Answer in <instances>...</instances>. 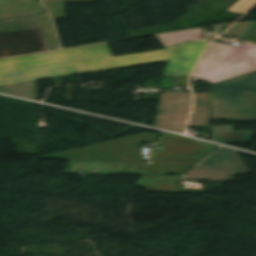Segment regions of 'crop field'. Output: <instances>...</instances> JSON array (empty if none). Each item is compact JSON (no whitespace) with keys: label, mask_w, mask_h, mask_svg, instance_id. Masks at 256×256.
<instances>
[{"label":"crop field","mask_w":256,"mask_h":256,"mask_svg":"<svg viewBox=\"0 0 256 256\" xmlns=\"http://www.w3.org/2000/svg\"><path fill=\"white\" fill-rule=\"evenodd\" d=\"M45 50L41 29L0 33V58Z\"/></svg>","instance_id":"d8731c3e"},{"label":"crop field","mask_w":256,"mask_h":256,"mask_svg":"<svg viewBox=\"0 0 256 256\" xmlns=\"http://www.w3.org/2000/svg\"><path fill=\"white\" fill-rule=\"evenodd\" d=\"M249 173L239 158L237 151L222 148L186 177L208 180H232L237 174Z\"/></svg>","instance_id":"e52e79f7"},{"label":"crop field","mask_w":256,"mask_h":256,"mask_svg":"<svg viewBox=\"0 0 256 256\" xmlns=\"http://www.w3.org/2000/svg\"><path fill=\"white\" fill-rule=\"evenodd\" d=\"M157 135L144 133L39 158L145 164L146 161L142 158L141 149H137L136 146L141 142L155 141Z\"/></svg>","instance_id":"412701ff"},{"label":"crop field","mask_w":256,"mask_h":256,"mask_svg":"<svg viewBox=\"0 0 256 256\" xmlns=\"http://www.w3.org/2000/svg\"><path fill=\"white\" fill-rule=\"evenodd\" d=\"M206 50L192 77L211 84L256 71V45L240 47L213 42Z\"/></svg>","instance_id":"ac0d7876"},{"label":"crop field","mask_w":256,"mask_h":256,"mask_svg":"<svg viewBox=\"0 0 256 256\" xmlns=\"http://www.w3.org/2000/svg\"><path fill=\"white\" fill-rule=\"evenodd\" d=\"M0 92L36 100V81L0 87Z\"/></svg>","instance_id":"d9b57169"},{"label":"crop field","mask_w":256,"mask_h":256,"mask_svg":"<svg viewBox=\"0 0 256 256\" xmlns=\"http://www.w3.org/2000/svg\"><path fill=\"white\" fill-rule=\"evenodd\" d=\"M256 0H239L233 6H231L227 11L243 13L246 11Z\"/></svg>","instance_id":"bc2a9ffb"},{"label":"crop field","mask_w":256,"mask_h":256,"mask_svg":"<svg viewBox=\"0 0 256 256\" xmlns=\"http://www.w3.org/2000/svg\"><path fill=\"white\" fill-rule=\"evenodd\" d=\"M160 100L191 101L190 93H162Z\"/></svg>","instance_id":"4a817a6b"},{"label":"crop field","mask_w":256,"mask_h":256,"mask_svg":"<svg viewBox=\"0 0 256 256\" xmlns=\"http://www.w3.org/2000/svg\"><path fill=\"white\" fill-rule=\"evenodd\" d=\"M164 50L113 57L107 44L0 60V86L166 61Z\"/></svg>","instance_id":"8a807250"},{"label":"crop field","mask_w":256,"mask_h":256,"mask_svg":"<svg viewBox=\"0 0 256 256\" xmlns=\"http://www.w3.org/2000/svg\"><path fill=\"white\" fill-rule=\"evenodd\" d=\"M158 146L163 151L151 156L153 164L198 163L219 146L163 132Z\"/></svg>","instance_id":"dd49c442"},{"label":"crop field","mask_w":256,"mask_h":256,"mask_svg":"<svg viewBox=\"0 0 256 256\" xmlns=\"http://www.w3.org/2000/svg\"><path fill=\"white\" fill-rule=\"evenodd\" d=\"M195 164H175V165H148L145 174L149 175H183Z\"/></svg>","instance_id":"733c2abd"},{"label":"crop field","mask_w":256,"mask_h":256,"mask_svg":"<svg viewBox=\"0 0 256 256\" xmlns=\"http://www.w3.org/2000/svg\"><path fill=\"white\" fill-rule=\"evenodd\" d=\"M36 28H43L39 14L0 21V32Z\"/></svg>","instance_id":"cbeb9de0"},{"label":"crop field","mask_w":256,"mask_h":256,"mask_svg":"<svg viewBox=\"0 0 256 256\" xmlns=\"http://www.w3.org/2000/svg\"><path fill=\"white\" fill-rule=\"evenodd\" d=\"M191 102L160 101L155 127L182 132L189 115Z\"/></svg>","instance_id":"5a996713"},{"label":"crop field","mask_w":256,"mask_h":256,"mask_svg":"<svg viewBox=\"0 0 256 256\" xmlns=\"http://www.w3.org/2000/svg\"><path fill=\"white\" fill-rule=\"evenodd\" d=\"M212 119L256 121V72L212 86Z\"/></svg>","instance_id":"34b2d1b8"},{"label":"crop field","mask_w":256,"mask_h":256,"mask_svg":"<svg viewBox=\"0 0 256 256\" xmlns=\"http://www.w3.org/2000/svg\"><path fill=\"white\" fill-rule=\"evenodd\" d=\"M225 35L256 43V21L236 23Z\"/></svg>","instance_id":"5142ce71"},{"label":"crop field","mask_w":256,"mask_h":256,"mask_svg":"<svg viewBox=\"0 0 256 256\" xmlns=\"http://www.w3.org/2000/svg\"><path fill=\"white\" fill-rule=\"evenodd\" d=\"M178 177L181 176H142L135 184L147 187L145 191L165 193H175Z\"/></svg>","instance_id":"d1516ede"},{"label":"crop field","mask_w":256,"mask_h":256,"mask_svg":"<svg viewBox=\"0 0 256 256\" xmlns=\"http://www.w3.org/2000/svg\"><path fill=\"white\" fill-rule=\"evenodd\" d=\"M145 165L70 161L66 173L142 174Z\"/></svg>","instance_id":"3316defc"},{"label":"crop field","mask_w":256,"mask_h":256,"mask_svg":"<svg viewBox=\"0 0 256 256\" xmlns=\"http://www.w3.org/2000/svg\"><path fill=\"white\" fill-rule=\"evenodd\" d=\"M189 126H209V93H195L194 111Z\"/></svg>","instance_id":"22f410ed"},{"label":"crop field","mask_w":256,"mask_h":256,"mask_svg":"<svg viewBox=\"0 0 256 256\" xmlns=\"http://www.w3.org/2000/svg\"><path fill=\"white\" fill-rule=\"evenodd\" d=\"M203 29L160 35L169 62L163 76H189L208 40L198 39Z\"/></svg>","instance_id":"f4fd0767"},{"label":"crop field","mask_w":256,"mask_h":256,"mask_svg":"<svg viewBox=\"0 0 256 256\" xmlns=\"http://www.w3.org/2000/svg\"><path fill=\"white\" fill-rule=\"evenodd\" d=\"M234 126H211V140L223 144L248 143L254 131H233Z\"/></svg>","instance_id":"28ad6ade"}]
</instances>
